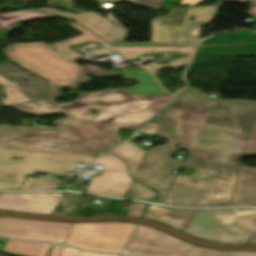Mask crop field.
I'll list each match as a JSON object with an SVG mask.
<instances>
[{"mask_svg":"<svg viewBox=\"0 0 256 256\" xmlns=\"http://www.w3.org/2000/svg\"><path fill=\"white\" fill-rule=\"evenodd\" d=\"M162 0H135V3H139L146 6L157 7L160 5Z\"/></svg>","mask_w":256,"mask_h":256,"instance_id":"33","label":"crop field"},{"mask_svg":"<svg viewBox=\"0 0 256 256\" xmlns=\"http://www.w3.org/2000/svg\"><path fill=\"white\" fill-rule=\"evenodd\" d=\"M56 129L30 128L11 138L0 149L89 156L121 142L115 129L74 119L55 122Z\"/></svg>","mask_w":256,"mask_h":256,"instance_id":"3","label":"crop field"},{"mask_svg":"<svg viewBox=\"0 0 256 256\" xmlns=\"http://www.w3.org/2000/svg\"><path fill=\"white\" fill-rule=\"evenodd\" d=\"M73 224L0 216V236L64 243Z\"/></svg>","mask_w":256,"mask_h":256,"instance_id":"10","label":"crop field"},{"mask_svg":"<svg viewBox=\"0 0 256 256\" xmlns=\"http://www.w3.org/2000/svg\"><path fill=\"white\" fill-rule=\"evenodd\" d=\"M197 52L200 54L256 55V43L231 46L199 47Z\"/></svg>","mask_w":256,"mask_h":256,"instance_id":"22","label":"crop field"},{"mask_svg":"<svg viewBox=\"0 0 256 256\" xmlns=\"http://www.w3.org/2000/svg\"><path fill=\"white\" fill-rule=\"evenodd\" d=\"M217 6L189 9L180 27L163 25V19L152 21V43H121L128 34V30L122 32L112 43L113 45H177V46H197L190 42V37L186 34L187 26L199 27L200 23L211 22ZM190 15H197L195 22H187Z\"/></svg>","mask_w":256,"mask_h":256,"instance_id":"11","label":"crop field"},{"mask_svg":"<svg viewBox=\"0 0 256 256\" xmlns=\"http://www.w3.org/2000/svg\"><path fill=\"white\" fill-rule=\"evenodd\" d=\"M35 10L50 12V13H54V14L66 16V17H69V18H73L74 16H76L75 14L65 13V12L56 11V10H51V9H46V8L35 9Z\"/></svg>","mask_w":256,"mask_h":256,"instance_id":"34","label":"crop field"},{"mask_svg":"<svg viewBox=\"0 0 256 256\" xmlns=\"http://www.w3.org/2000/svg\"><path fill=\"white\" fill-rule=\"evenodd\" d=\"M0 83L5 85V94L7 99L3 100L5 105L16 103H24L30 101L24 96L15 83L7 81L4 77L0 76Z\"/></svg>","mask_w":256,"mask_h":256,"instance_id":"26","label":"crop field"},{"mask_svg":"<svg viewBox=\"0 0 256 256\" xmlns=\"http://www.w3.org/2000/svg\"><path fill=\"white\" fill-rule=\"evenodd\" d=\"M121 75L127 79L135 76L141 82L139 86L128 89L130 93L168 95L149 72L143 68L126 72Z\"/></svg>","mask_w":256,"mask_h":256,"instance_id":"19","label":"crop field"},{"mask_svg":"<svg viewBox=\"0 0 256 256\" xmlns=\"http://www.w3.org/2000/svg\"><path fill=\"white\" fill-rule=\"evenodd\" d=\"M128 192L133 193L131 199H135V200L150 201L157 197L156 193L142 186L141 184H139L134 180L132 181L128 189Z\"/></svg>","mask_w":256,"mask_h":256,"instance_id":"27","label":"crop field"},{"mask_svg":"<svg viewBox=\"0 0 256 256\" xmlns=\"http://www.w3.org/2000/svg\"><path fill=\"white\" fill-rule=\"evenodd\" d=\"M194 29V27H188L187 28V33H188V35L190 36V33H191V31ZM191 37V36H190ZM191 42H199V40H196V39H194V38H192L191 37Z\"/></svg>","mask_w":256,"mask_h":256,"instance_id":"39","label":"crop field"},{"mask_svg":"<svg viewBox=\"0 0 256 256\" xmlns=\"http://www.w3.org/2000/svg\"><path fill=\"white\" fill-rule=\"evenodd\" d=\"M51 244L24 243L8 240L4 252L16 253L27 256H47Z\"/></svg>","mask_w":256,"mask_h":256,"instance_id":"21","label":"crop field"},{"mask_svg":"<svg viewBox=\"0 0 256 256\" xmlns=\"http://www.w3.org/2000/svg\"><path fill=\"white\" fill-rule=\"evenodd\" d=\"M74 19L78 21V24L93 31L110 42L121 29L112 25L108 20L94 12L79 14L74 17Z\"/></svg>","mask_w":256,"mask_h":256,"instance_id":"18","label":"crop field"},{"mask_svg":"<svg viewBox=\"0 0 256 256\" xmlns=\"http://www.w3.org/2000/svg\"><path fill=\"white\" fill-rule=\"evenodd\" d=\"M196 47H114L110 45L111 53H121L125 59H134L147 52L155 51H179L180 53H188L190 56L183 58L177 62L161 66L155 62H152L144 67L148 68L152 72L164 67H175L181 64L188 63Z\"/></svg>","mask_w":256,"mask_h":256,"instance_id":"14","label":"crop field"},{"mask_svg":"<svg viewBox=\"0 0 256 256\" xmlns=\"http://www.w3.org/2000/svg\"><path fill=\"white\" fill-rule=\"evenodd\" d=\"M158 126L157 125H153V124H149L147 123L146 125H144L139 132H143V133H147V134H151L154 135L156 130H157Z\"/></svg>","mask_w":256,"mask_h":256,"instance_id":"32","label":"crop field"},{"mask_svg":"<svg viewBox=\"0 0 256 256\" xmlns=\"http://www.w3.org/2000/svg\"><path fill=\"white\" fill-rule=\"evenodd\" d=\"M194 213L195 211L174 210L150 204L143 218L164 222L180 231H183Z\"/></svg>","mask_w":256,"mask_h":256,"instance_id":"16","label":"crop field"},{"mask_svg":"<svg viewBox=\"0 0 256 256\" xmlns=\"http://www.w3.org/2000/svg\"><path fill=\"white\" fill-rule=\"evenodd\" d=\"M183 232L211 242L244 244L256 232V209L196 211Z\"/></svg>","mask_w":256,"mask_h":256,"instance_id":"6","label":"crop field"},{"mask_svg":"<svg viewBox=\"0 0 256 256\" xmlns=\"http://www.w3.org/2000/svg\"><path fill=\"white\" fill-rule=\"evenodd\" d=\"M134 227L131 223L75 224L65 244L85 250L121 253Z\"/></svg>","mask_w":256,"mask_h":256,"instance_id":"9","label":"crop field"},{"mask_svg":"<svg viewBox=\"0 0 256 256\" xmlns=\"http://www.w3.org/2000/svg\"><path fill=\"white\" fill-rule=\"evenodd\" d=\"M200 1H202V0H183V1H181L180 3L181 4H183L184 6L186 5V4H190V6H195L196 4H198Z\"/></svg>","mask_w":256,"mask_h":256,"instance_id":"36","label":"crop field"},{"mask_svg":"<svg viewBox=\"0 0 256 256\" xmlns=\"http://www.w3.org/2000/svg\"><path fill=\"white\" fill-rule=\"evenodd\" d=\"M108 53H109L108 49H103V50L95 49V50L89 51V54L97 55V56L108 54Z\"/></svg>","mask_w":256,"mask_h":256,"instance_id":"35","label":"crop field"},{"mask_svg":"<svg viewBox=\"0 0 256 256\" xmlns=\"http://www.w3.org/2000/svg\"><path fill=\"white\" fill-rule=\"evenodd\" d=\"M107 153L120 156V158L129 165L131 176L134 177L146 151L141 149L133 142L128 141L108 151Z\"/></svg>","mask_w":256,"mask_h":256,"instance_id":"20","label":"crop field"},{"mask_svg":"<svg viewBox=\"0 0 256 256\" xmlns=\"http://www.w3.org/2000/svg\"><path fill=\"white\" fill-rule=\"evenodd\" d=\"M248 244H255L256 245V233L255 235L252 237L251 241Z\"/></svg>","mask_w":256,"mask_h":256,"instance_id":"42","label":"crop field"},{"mask_svg":"<svg viewBox=\"0 0 256 256\" xmlns=\"http://www.w3.org/2000/svg\"><path fill=\"white\" fill-rule=\"evenodd\" d=\"M255 104L214 100L199 89H183L155 135L169 142L147 151L134 179L157 189L161 202L174 178L170 172L182 162L170 158L176 144L191 153L181 168L195 170V159H203L206 166L239 169Z\"/></svg>","mask_w":256,"mask_h":256,"instance_id":"1","label":"crop field"},{"mask_svg":"<svg viewBox=\"0 0 256 256\" xmlns=\"http://www.w3.org/2000/svg\"><path fill=\"white\" fill-rule=\"evenodd\" d=\"M122 253L146 256H256V252H219L191 246L141 225H138Z\"/></svg>","mask_w":256,"mask_h":256,"instance_id":"8","label":"crop field"},{"mask_svg":"<svg viewBox=\"0 0 256 256\" xmlns=\"http://www.w3.org/2000/svg\"><path fill=\"white\" fill-rule=\"evenodd\" d=\"M161 120L160 121H155V122H150V123H154V124H160Z\"/></svg>","mask_w":256,"mask_h":256,"instance_id":"44","label":"crop field"},{"mask_svg":"<svg viewBox=\"0 0 256 256\" xmlns=\"http://www.w3.org/2000/svg\"><path fill=\"white\" fill-rule=\"evenodd\" d=\"M71 26L85 34L51 46L45 43L16 44L7 47L5 53L8 58L51 83L69 84L76 79L79 68L72 62L85 56L67 47L81 42L108 44L75 23Z\"/></svg>","mask_w":256,"mask_h":256,"instance_id":"4","label":"crop field"},{"mask_svg":"<svg viewBox=\"0 0 256 256\" xmlns=\"http://www.w3.org/2000/svg\"><path fill=\"white\" fill-rule=\"evenodd\" d=\"M248 36H249V32L247 30H241L239 28H236L234 34L221 36L213 39H208L202 42L201 46L244 43Z\"/></svg>","mask_w":256,"mask_h":256,"instance_id":"25","label":"crop field"},{"mask_svg":"<svg viewBox=\"0 0 256 256\" xmlns=\"http://www.w3.org/2000/svg\"><path fill=\"white\" fill-rule=\"evenodd\" d=\"M26 128L27 127L0 126V143L12 135H18L19 133L23 132Z\"/></svg>","mask_w":256,"mask_h":256,"instance_id":"29","label":"crop field"},{"mask_svg":"<svg viewBox=\"0 0 256 256\" xmlns=\"http://www.w3.org/2000/svg\"><path fill=\"white\" fill-rule=\"evenodd\" d=\"M60 182L55 178H28L18 190H56Z\"/></svg>","mask_w":256,"mask_h":256,"instance_id":"24","label":"crop field"},{"mask_svg":"<svg viewBox=\"0 0 256 256\" xmlns=\"http://www.w3.org/2000/svg\"><path fill=\"white\" fill-rule=\"evenodd\" d=\"M85 72H91V73L97 75V77L102 76V75H107V74H115L113 71H105L101 68H94L91 65L80 66L77 79L72 84H69L67 86H56L53 84L52 88L50 90H46V92H48L50 94V96L48 98H54V97L61 96L63 94H61L59 91L62 88H64V87L74 88L75 85L78 84L79 82L90 79V78H86L83 76Z\"/></svg>","mask_w":256,"mask_h":256,"instance_id":"23","label":"crop field"},{"mask_svg":"<svg viewBox=\"0 0 256 256\" xmlns=\"http://www.w3.org/2000/svg\"><path fill=\"white\" fill-rule=\"evenodd\" d=\"M23 157L22 160H10V157ZM93 157L34 153L23 151L0 150V189L17 190L20 188L25 174L34 170L42 173L66 175L73 172L77 163H90ZM13 174L12 177H5Z\"/></svg>","mask_w":256,"mask_h":256,"instance_id":"7","label":"crop field"},{"mask_svg":"<svg viewBox=\"0 0 256 256\" xmlns=\"http://www.w3.org/2000/svg\"><path fill=\"white\" fill-rule=\"evenodd\" d=\"M231 205H256V168L241 166Z\"/></svg>","mask_w":256,"mask_h":256,"instance_id":"15","label":"crop field"},{"mask_svg":"<svg viewBox=\"0 0 256 256\" xmlns=\"http://www.w3.org/2000/svg\"><path fill=\"white\" fill-rule=\"evenodd\" d=\"M92 165L106 169L103 177H92L86 192L124 197L133 179L128 174V167L119 157L103 153Z\"/></svg>","mask_w":256,"mask_h":256,"instance_id":"12","label":"crop field"},{"mask_svg":"<svg viewBox=\"0 0 256 256\" xmlns=\"http://www.w3.org/2000/svg\"><path fill=\"white\" fill-rule=\"evenodd\" d=\"M144 209H145L144 204L135 203V204L131 205L126 216L140 217V215L142 214Z\"/></svg>","mask_w":256,"mask_h":256,"instance_id":"31","label":"crop field"},{"mask_svg":"<svg viewBox=\"0 0 256 256\" xmlns=\"http://www.w3.org/2000/svg\"><path fill=\"white\" fill-rule=\"evenodd\" d=\"M106 1H112V0H106ZM123 1L134 2V0H123Z\"/></svg>","mask_w":256,"mask_h":256,"instance_id":"45","label":"crop field"},{"mask_svg":"<svg viewBox=\"0 0 256 256\" xmlns=\"http://www.w3.org/2000/svg\"><path fill=\"white\" fill-rule=\"evenodd\" d=\"M170 100V96L136 95L126 89L80 94L71 103L56 105L54 100L14 106L37 115L66 111L67 116L103 125L132 130L147 121ZM89 109L101 110L97 116Z\"/></svg>","mask_w":256,"mask_h":256,"instance_id":"2","label":"crop field"},{"mask_svg":"<svg viewBox=\"0 0 256 256\" xmlns=\"http://www.w3.org/2000/svg\"><path fill=\"white\" fill-rule=\"evenodd\" d=\"M252 41H256V35L250 36V37L246 40L245 43H247V42H252Z\"/></svg>","mask_w":256,"mask_h":256,"instance_id":"40","label":"crop field"},{"mask_svg":"<svg viewBox=\"0 0 256 256\" xmlns=\"http://www.w3.org/2000/svg\"><path fill=\"white\" fill-rule=\"evenodd\" d=\"M245 149V156H256V107L254 110Z\"/></svg>","mask_w":256,"mask_h":256,"instance_id":"28","label":"crop field"},{"mask_svg":"<svg viewBox=\"0 0 256 256\" xmlns=\"http://www.w3.org/2000/svg\"><path fill=\"white\" fill-rule=\"evenodd\" d=\"M238 171L198 167L193 177L177 176L164 203L186 207L230 205Z\"/></svg>","mask_w":256,"mask_h":256,"instance_id":"5","label":"crop field"},{"mask_svg":"<svg viewBox=\"0 0 256 256\" xmlns=\"http://www.w3.org/2000/svg\"><path fill=\"white\" fill-rule=\"evenodd\" d=\"M62 197L60 193H2L0 209L48 215Z\"/></svg>","mask_w":256,"mask_h":256,"instance_id":"13","label":"crop field"},{"mask_svg":"<svg viewBox=\"0 0 256 256\" xmlns=\"http://www.w3.org/2000/svg\"><path fill=\"white\" fill-rule=\"evenodd\" d=\"M54 17L63 21L71 19L58 17L56 15L46 14L37 11L25 10L18 12L5 13L0 15V40H5L7 33L13 29L20 28L21 24L31 20Z\"/></svg>","mask_w":256,"mask_h":256,"instance_id":"17","label":"crop field"},{"mask_svg":"<svg viewBox=\"0 0 256 256\" xmlns=\"http://www.w3.org/2000/svg\"><path fill=\"white\" fill-rule=\"evenodd\" d=\"M166 110V109H165ZM165 110H163L161 113H159L157 116H155L152 120H155V119H159V118H162ZM151 121V120H150Z\"/></svg>","mask_w":256,"mask_h":256,"instance_id":"41","label":"crop field"},{"mask_svg":"<svg viewBox=\"0 0 256 256\" xmlns=\"http://www.w3.org/2000/svg\"><path fill=\"white\" fill-rule=\"evenodd\" d=\"M60 256H113V255L95 254V253H89V252H84V251L65 247L62 250Z\"/></svg>","mask_w":256,"mask_h":256,"instance_id":"30","label":"crop field"},{"mask_svg":"<svg viewBox=\"0 0 256 256\" xmlns=\"http://www.w3.org/2000/svg\"><path fill=\"white\" fill-rule=\"evenodd\" d=\"M223 1L248 2V0H223Z\"/></svg>","mask_w":256,"mask_h":256,"instance_id":"43","label":"crop field"},{"mask_svg":"<svg viewBox=\"0 0 256 256\" xmlns=\"http://www.w3.org/2000/svg\"><path fill=\"white\" fill-rule=\"evenodd\" d=\"M249 1H252V5L248 13L256 17V0H249Z\"/></svg>","mask_w":256,"mask_h":256,"instance_id":"37","label":"crop field"},{"mask_svg":"<svg viewBox=\"0 0 256 256\" xmlns=\"http://www.w3.org/2000/svg\"><path fill=\"white\" fill-rule=\"evenodd\" d=\"M61 247H62L61 245H54V247H53V249L51 251L50 256H57L59 251H60V249H61Z\"/></svg>","mask_w":256,"mask_h":256,"instance_id":"38","label":"crop field"}]
</instances>
